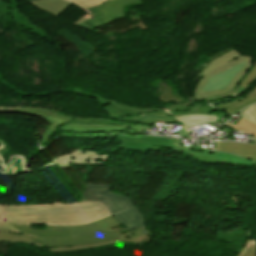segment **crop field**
<instances>
[{
  "instance_id": "1",
  "label": "crop field",
  "mask_w": 256,
  "mask_h": 256,
  "mask_svg": "<svg viewBox=\"0 0 256 256\" xmlns=\"http://www.w3.org/2000/svg\"><path fill=\"white\" fill-rule=\"evenodd\" d=\"M1 207L6 221L35 225H77L111 215L100 202L22 207L1 205Z\"/></svg>"
},
{
  "instance_id": "2",
  "label": "crop field",
  "mask_w": 256,
  "mask_h": 256,
  "mask_svg": "<svg viewBox=\"0 0 256 256\" xmlns=\"http://www.w3.org/2000/svg\"><path fill=\"white\" fill-rule=\"evenodd\" d=\"M255 62L256 59L240 55L234 50L214 59L196 78L204 77L195 89L194 98L199 101L212 95L231 92Z\"/></svg>"
},
{
  "instance_id": "3",
  "label": "crop field",
  "mask_w": 256,
  "mask_h": 256,
  "mask_svg": "<svg viewBox=\"0 0 256 256\" xmlns=\"http://www.w3.org/2000/svg\"><path fill=\"white\" fill-rule=\"evenodd\" d=\"M209 111L220 110L203 103H195L189 108L147 112L140 115H133L114 120L148 125H150L153 120H163L168 121V123L181 121L187 128H192L201 124H211L213 121L216 122L218 116L207 115Z\"/></svg>"
},
{
  "instance_id": "4",
  "label": "crop field",
  "mask_w": 256,
  "mask_h": 256,
  "mask_svg": "<svg viewBox=\"0 0 256 256\" xmlns=\"http://www.w3.org/2000/svg\"><path fill=\"white\" fill-rule=\"evenodd\" d=\"M142 2L141 0H112L99 6L86 9L88 15L81 17L74 24L93 30L114 20L123 18L124 6Z\"/></svg>"
},
{
  "instance_id": "5",
  "label": "crop field",
  "mask_w": 256,
  "mask_h": 256,
  "mask_svg": "<svg viewBox=\"0 0 256 256\" xmlns=\"http://www.w3.org/2000/svg\"><path fill=\"white\" fill-rule=\"evenodd\" d=\"M108 189L109 186L86 185L81 202L101 201L111 214L134 207L130 198L114 194Z\"/></svg>"
},
{
  "instance_id": "6",
  "label": "crop field",
  "mask_w": 256,
  "mask_h": 256,
  "mask_svg": "<svg viewBox=\"0 0 256 256\" xmlns=\"http://www.w3.org/2000/svg\"><path fill=\"white\" fill-rule=\"evenodd\" d=\"M120 238L119 230L103 231L96 234L79 236V237H51L33 235V240L39 242L43 246L50 247H68L87 243L103 242Z\"/></svg>"
},
{
  "instance_id": "7",
  "label": "crop field",
  "mask_w": 256,
  "mask_h": 256,
  "mask_svg": "<svg viewBox=\"0 0 256 256\" xmlns=\"http://www.w3.org/2000/svg\"><path fill=\"white\" fill-rule=\"evenodd\" d=\"M151 126H104V125H85V124H68L60 127L59 130L64 133L73 134H91V133H114L121 132L128 135H138L144 128ZM153 128V127H152Z\"/></svg>"
},
{
  "instance_id": "8",
  "label": "crop field",
  "mask_w": 256,
  "mask_h": 256,
  "mask_svg": "<svg viewBox=\"0 0 256 256\" xmlns=\"http://www.w3.org/2000/svg\"><path fill=\"white\" fill-rule=\"evenodd\" d=\"M120 144L117 148L142 152L148 149L158 150L160 146L174 149L178 143L177 139H163L156 137H138L129 138L125 136H118Z\"/></svg>"
},
{
  "instance_id": "9",
  "label": "crop field",
  "mask_w": 256,
  "mask_h": 256,
  "mask_svg": "<svg viewBox=\"0 0 256 256\" xmlns=\"http://www.w3.org/2000/svg\"><path fill=\"white\" fill-rule=\"evenodd\" d=\"M108 156L94 152L75 151L52 161L60 169L70 168L71 164H102L105 165Z\"/></svg>"
},
{
  "instance_id": "10",
  "label": "crop field",
  "mask_w": 256,
  "mask_h": 256,
  "mask_svg": "<svg viewBox=\"0 0 256 256\" xmlns=\"http://www.w3.org/2000/svg\"><path fill=\"white\" fill-rule=\"evenodd\" d=\"M156 93L162 104L172 101L176 102L174 105L167 106L164 109L188 107L193 104L187 102L181 97L173 82L168 86L167 83L159 79L157 82Z\"/></svg>"
},
{
  "instance_id": "11",
  "label": "crop field",
  "mask_w": 256,
  "mask_h": 256,
  "mask_svg": "<svg viewBox=\"0 0 256 256\" xmlns=\"http://www.w3.org/2000/svg\"><path fill=\"white\" fill-rule=\"evenodd\" d=\"M86 96L95 98L99 103L103 105L104 110L110 116V118L124 117L132 114H140L147 111H157L164 109H155V110H140L132 107H128L122 104L111 102L107 99L98 97L97 95L87 94Z\"/></svg>"
},
{
  "instance_id": "12",
  "label": "crop field",
  "mask_w": 256,
  "mask_h": 256,
  "mask_svg": "<svg viewBox=\"0 0 256 256\" xmlns=\"http://www.w3.org/2000/svg\"><path fill=\"white\" fill-rule=\"evenodd\" d=\"M130 237V238H129ZM129 238V239H127ZM123 241H128L131 243L138 244L140 242V237L138 235L137 230H130L124 234L121 235V239L103 242V243H96V244H87V245H81V246H75V247H69V248H49L50 252H67V251H75V250H81L86 248H92V247H99V246H106L111 245Z\"/></svg>"
},
{
  "instance_id": "13",
  "label": "crop field",
  "mask_w": 256,
  "mask_h": 256,
  "mask_svg": "<svg viewBox=\"0 0 256 256\" xmlns=\"http://www.w3.org/2000/svg\"><path fill=\"white\" fill-rule=\"evenodd\" d=\"M191 150H193L195 152L196 156H199V157L215 159V160L234 163V164L256 166V163L250 162L241 157H238V156H235L232 154H226V153H219V152L214 153V152L202 149V148L198 147L197 145L194 146Z\"/></svg>"
},
{
  "instance_id": "14",
  "label": "crop field",
  "mask_w": 256,
  "mask_h": 256,
  "mask_svg": "<svg viewBox=\"0 0 256 256\" xmlns=\"http://www.w3.org/2000/svg\"><path fill=\"white\" fill-rule=\"evenodd\" d=\"M215 150L230 152L256 161V145L216 142Z\"/></svg>"
},
{
  "instance_id": "15",
  "label": "crop field",
  "mask_w": 256,
  "mask_h": 256,
  "mask_svg": "<svg viewBox=\"0 0 256 256\" xmlns=\"http://www.w3.org/2000/svg\"><path fill=\"white\" fill-rule=\"evenodd\" d=\"M120 223L124 224L127 229L144 228L143 215L136 207L113 215Z\"/></svg>"
},
{
  "instance_id": "16",
  "label": "crop field",
  "mask_w": 256,
  "mask_h": 256,
  "mask_svg": "<svg viewBox=\"0 0 256 256\" xmlns=\"http://www.w3.org/2000/svg\"><path fill=\"white\" fill-rule=\"evenodd\" d=\"M74 117L63 115L60 113H53L50 117L47 118L48 122L52 125L46 129V131L41 135L42 144H46L49 138L52 136L53 132L62 125H65L69 122H72Z\"/></svg>"
},
{
  "instance_id": "17",
  "label": "crop field",
  "mask_w": 256,
  "mask_h": 256,
  "mask_svg": "<svg viewBox=\"0 0 256 256\" xmlns=\"http://www.w3.org/2000/svg\"><path fill=\"white\" fill-rule=\"evenodd\" d=\"M31 3L55 16L62 13L71 4L65 0H38Z\"/></svg>"
},
{
  "instance_id": "18",
  "label": "crop field",
  "mask_w": 256,
  "mask_h": 256,
  "mask_svg": "<svg viewBox=\"0 0 256 256\" xmlns=\"http://www.w3.org/2000/svg\"><path fill=\"white\" fill-rule=\"evenodd\" d=\"M255 79H256V63L253 65L252 69L248 72V74L241 81L239 86L236 89H234L231 93H229L227 95H223V96H212V97L206 98V99H204L202 101H206L207 102V101L212 100V99H217V98H221V97H225V96H229V95L238 96L242 92L247 90L248 87L251 85V83Z\"/></svg>"
},
{
  "instance_id": "19",
  "label": "crop field",
  "mask_w": 256,
  "mask_h": 256,
  "mask_svg": "<svg viewBox=\"0 0 256 256\" xmlns=\"http://www.w3.org/2000/svg\"><path fill=\"white\" fill-rule=\"evenodd\" d=\"M10 224L13 225L21 233L39 234V235H52V236H74L73 231L54 232V231H47V230L32 229V228H30V226H26V225H16V224H13V223H10Z\"/></svg>"
},
{
  "instance_id": "20",
  "label": "crop field",
  "mask_w": 256,
  "mask_h": 256,
  "mask_svg": "<svg viewBox=\"0 0 256 256\" xmlns=\"http://www.w3.org/2000/svg\"><path fill=\"white\" fill-rule=\"evenodd\" d=\"M3 112H19L26 114H34L43 117L44 119L50 116L53 112L49 110H39L33 108H22V107H0V113Z\"/></svg>"
},
{
  "instance_id": "21",
  "label": "crop field",
  "mask_w": 256,
  "mask_h": 256,
  "mask_svg": "<svg viewBox=\"0 0 256 256\" xmlns=\"http://www.w3.org/2000/svg\"><path fill=\"white\" fill-rule=\"evenodd\" d=\"M45 229L54 230V231L74 230L75 236L103 231L101 229H93V228H86V227H80V226H50V227H46Z\"/></svg>"
},
{
  "instance_id": "22",
  "label": "crop field",
  "mask_w": 256,
  "mask_h": 256,
  "mask_svg": "<svg viewBox=\"0 0 256 256\" xmlns=\"http://www.w3.org/2000/svg\"><path fill=\"white\" fill-rule=\"evenodd\" d=\"M225 126L256 137V125L249 122L248 120H246L243 117L241 118V120L236 125L231 124V123H227V124H225Z\"/></svg>"
},
{
  "instance_id": "23",
  "label": "crop field",
  "mask_w": 256,
  "mask_h": 256,
  "mask_svg": "<svg viewBox=\"0 0 256 256\" xmlns=\"http://www.w3.org/2000/svg\"><path fill=\"white\" fill-rule=\"evenodd\" d=\"M32 235L18 233H0V242H21L31 244Z\"/></svg>"
},
{
  "instance_id": "24",
  "label": "crop field",
  "mask_w": 256,
  "mask_h": 256,
  "mask_svg": "<svg viewBox=\"0 0 256 256\" xmlns=\"http://www.w3.org/2000/svg\"><path fill=\"white\" fill-rule=\"evenodd\" d=\"M118 225H120V223L114 217L110 216V217L102 219L98 222H94V223H90V224H86V225H80V226L110 229V228L116 227Z\"/></svg>"
},
{
  "instance_id": "25",
  "label": "crop field",
  "mask_w": 256,
  "mask_h": 256,
  "mask_svg": "<svg viewBox=\"0 0 256 256\" xmlns=\"http://www.w3.org/2000/svg\"><path fill=\"white\" fill-rule=\"evenodd\" d=\"M72 123L105 124V125H135V124L118 123V122H111L109 120L92 119V118H75Z\"/></svg>"
},
{
  "instance_id": "26",
  "label": "crop field",
  "mask_w": 256,
  "mask_h": 256,
  "mask_svg": "<svg viewBox=\"0 0 256 256\" xmlns=\"http://www.w3.org/2000/svg\"><path fill=\"white\" fill-rule=\"evenodd\" d=\"M76 4L77 6L85 9L101 4L107 0H68Z\"/></svg>"
},
{
  "instance_id": "27",
  "label": "crop field",
  "mask_w": 256,
  "mask_h": 256,
  "mask_svg": "<svg viewBox=\"0 0 256 256\" xmlns=\"http://www.w3.org/2000/svg\"><path fill=\"white\" fill-rule=\"evenodd\" d=\"M256 102V96L252 97L250 99L247 100H243L241 102H239L237 105L233 106L232 108L226 110V112L230 113V114H235L237 111L241 110L242 108H244L245 106L255 103ZM231 115V116H232Z\"/></svg>"
},
{
  "instance_id": "28",
  "label": "crop field",
  "mask_w": 256,
  "mask_h": 256,
  "mask_svg": "<svg viewBox=\"0 0 256 256\" xmlns=\"http://www.w3.org/2000/svg\"><path fill=\"white\" fill-rule=\"evenodd\" d=\"M239 115L256 123V104L249 106L248 108L240 112Z\"/></svg>"
},
{
  "instance_id": "29",
  "label": "crop field",
  "mask_w": 256,
  "mask_h": 256,
  "mask_svg": "<svg viewBox=\"0 0 256 256\" xmlns=\"http://www.w3.org/2000/svg\"><path fill=\"white\" fill-rule=\"evenodd\" d=\"M247 250H256V240L251 239L248 240L245 244L244 248L242 249L241 253L238 256H242Z\"/></svg>"
},
{
  "instance_id": "30",
  "label": "crop field",
  "mask_w": 256,
  "mask_h": 256,
  "mask_svg": "<svg viewBox=\"0 0 256 256\" xmlns=\"http://www.w3.org/2000/svg\"><path fill=\"white\" fill-rule=\"evenodd\" d=\"M256 95V87L250 92L248 93L244 99L250 98L252 96ZM241 101V100H240ZM239 101L237 102H233V103H229V104H225V105H221V106H217L218 108L222 109V110H226L230 107H232L233 105L237 104Z\"/></svg>"
},
{
  "instance_id": "31",
  "label": "crop field",
  "mask_w": 256,
  "mask_h": 256,
  "mask_svg": "<svg viewBox=\"0 0 256 256\" xmlns=\"http://www.w3.org/2000/svg\"><path fill=\"white\" fill-rule=\"evenodd\" d=\"M0 232H18V231L9 223L0 221Z\"/></svg>"
},
{
  "instance_id": "32",
  "label": "crop field",
  "mask_w": 256,
  "mask_h": 256,
  "mask_svg": "<svg viewBox=\"0 0 256 256\" xmlns=\"http://www.w3.org/2000/svg\"><path fill=\"white\" fill-rule=\"evenodd\" d=\"M97 136H101L100 141L108 143L114 136L107 135H95V136H75L76 138L95 139Z\"/></svg>"
},
{
  "instance_id": "33",
  "label": "crop field",
  "mask_w": 256,
  "mask_h": 256,
  "mask_svg": "<svg viewBox=\"0 0 256 256\" xmlns=\"http://www.w3.org/2000/svg\"><path fill=\"white\" fill-rule=\"evenodd\" d=\"M176 148H180V149H183V150H186V151H189V152H192L191 150H188V149H185L183 147H180V146H176ZM193 153V152H192ZM193 157L198 160V161H202V162H205V163H224V162H219V161H215V160H209V159H204V158H199V157H196L195 154H193ZM228 164V163H227ZM233 165V164H231Z\"/></svg>"
},
{
  "instance_id": "34",
  "label": "crop field",
  "mask_w": 256,
  "mask_h": 256,
  "mask_svg": "<svg viewBox=\"0 0 256 256\" xmlns=\"http://www.w3.org/2000/svg\"><path fill=\"white\" fill-rule=\"evenodd\" d=\"M0 82L3 83L6 87H8L9 89H11L12 91H14L17 94H20V95H23V96H26V97L31 96L30 94H26L24 92H20L18 89H16V88L12 87L11 85L7 84L1 78H0Z\"/></svg>"
},
{
  "instance_id": "35",
  "label": "crop field",
  "mask_w": 256,
  "mask_h": 256,
  "mask_svg": "<svg viewBox=\"0 0 256 256\" xmlns=\"http://www.w3.org/2000/svg\"><path fill=\"white\" fill-rule=\"evenodd\" d=\"M190 130H191V129H187V130L182 129V130H180L177 134H179L180 136H182V137H184V138L187 137L188 139H193L192 137H190V136L187 135Z\"/></svg>"
},
{
  "instance_id": "36",
  "label": "crop field",
  "mask_w": 256,
  "mask_h": 256,
  "mask_svg": "<svg viewBox=\"0 0 256 256\" xmlns=\"http://www.w3.org/2000/svg\"><path fill=\"white\" fill-rule=\"evenodd\" d=\"M243 256H256V251H247Z\"/></svg>"
},
{
  "instance_id": "37",
  "label": "crop field",
  "mask_w": 256,
  "mask_h": 256,
  "mask_svg": "<svg viewBox=\"0 0 256 256\" xmlns=\"http://www.w3.org/2000/svg\"><path fill=\"white\" fill-rule=\"evenodd\" d=\"M74 88V90H75V93H77V94H81V95H85L86 93H80L82 90H80V89H77V88H75V87H73Z\"/></svg>"
},
{
  "instance_id": "38",
  "label": "crop field",
  "mask_w": 256,
  "mask_h": 256,
  "mask_svg": "<svg viewBox=\"0 0 256 256\" xmlns=\"http://www.w3.org/2000/svg\"><path fill=\"white\" fill-rule=\"evenodd\" d=\"M32 244L40 245L39 243H37L35 241H33ZM40 246H42V245H40Z\"/></svg>"
},
{
  "instance_id": "39",
  "label": "crop field",
  "mask_w": 256,
  "mask_h": 256,
  "mask_svg": "<svg viewBox=\"0 0 256 256\" xmlns=\"http://www.w3.org/2000/svg\"><path fill=\"white\" fill-rule=\"evenodd\" d=\"M0 220H3V217H2L1 211H0Z\"/></svg>"
}]
</instances>
